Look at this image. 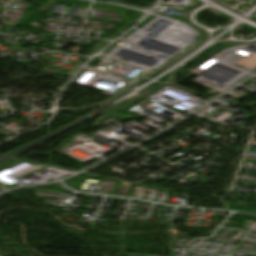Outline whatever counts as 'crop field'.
Returning a JSON list of instances; mask_svg holds the SVG:
<instances>
[{
	"mask_svg": "<svg viewBox=\"0 0 256 256\" xmlns=\"http://www.w3.org/2000/svg\"><path fill=\"white\" fill-rule=\"evenodd\" d=\"M144 97H145V95H142V94H139V93L133 95L129 99L125 100L124 102H122V103L114 106L113 108L103 112L100 115V117L95 121V123L93 125H95V124H97V123L115 115L116 113L120 112L121 110L125 109L126 107L132 105L133 103L137 102L138 100H140Z\"/></svg>",
	"mask_w": 256,
	"mask_h": 256,
	"instance_id": "crop-field-1",
	"label": "crop field"
}]
</instances>
